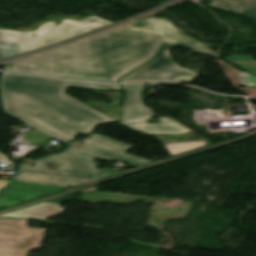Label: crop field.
Masks as SVG:
<instances>
[{"label": "crop field", "mask_w": 256, "mask_h": 256, "mask_svg": "<svg viewBox=\"0 0 256 256\" xmlns=\"http://www.w3.org/2000/svg\"><path fill=\"white\" fill-rule=\"evenodd\" d=\"M230 61H253L251 56L227 57ZM232 63V62H231ZM256 75V63H233Z\"/></svg>", "instance_id": "obj_12"}, {"label": "crop field", "mask_w": 256, "mask_h": 256, "mask_svg": "<svg viewBox=\"0 0 256 256\" xmlns=\"http://www.w3.org/2000/svg\"><path fill=\"white\" fill-rule=\"evenodd\" d=\"M64 19L62 23L51 20ZM40 24L37 31L18 32L0 30V59L67 40L74 36L112 24L96 16L84 20L56 17Z\"/></svg>", "instance_id": "obj_4"}, {"label": "crop field", "mask_w": 256, "mask_h": 256, "mask_svg": "<svg viewBox=\"0 0 256 256\" xmlns=\"http://www.w3.org/2000/svg\"><path fill=\"white\" fill-rule=\"evenodd\" d=\"M211 7H215V8H219V9H222V10H225V11H229V6L227 3H223V2H220V1H216L214 0L213 2L210 3Z\"/></svg>", "instance_id": "obj_15"}, {"label": "crop field", "mask_w": 256, "mask_h": 256, "mask_svg": "<svg viewBox=\"0 0 256 256\" xmlns=\"http://www.w3.org/2000/svg\"><path fill=\"white\" fill-rule=\"evenodd\" d=\"M184 34L164 19L152 30L124 25L12 63L17 73L117 83L119 77L152 59L161 43L216 55Z\"/></svg>", "instance_id": "obj_1"}, {"label": "crop field", "mask_w": 256, "mask_h": 256, "mask_svg": "<svg viewBox=\"0 0 256 256\" xmlns=\"http://www.w3.org/2000/svg\"><path fill=\"white\" fill-rule=\"evenodd\" d=\"M14 180L30 182V183H38L59 187L71 188L86 182L89 180H81V179H72V178H64V177H56V176H47V175H39V174H30V173H22L17 172Z\"/></svg>", "instance_id": "obj_9"}, {"label": "crop field", "mask_w": 256, "mask_h": 256, "mask_svg": "<svg viewBox=\"0 0 256 256\" xmlns=\"http://www.w3.org/2000/svg\"><path fill=\"white\" fill-rule=\"evenodd\" d=\"M122 86L127 93L122 109V125L144 134H184L191 131L172 118H160L161 124H147L155 113L145 105L142 98L146 85Z\"/></svg>", "instance_id": "obj_5"}, {"label": "crop field", "mask_w": 256, "mask_h": 256, "mask_svg": "<svg viewBox=\"0 0 256 256\" xmlns=\"http://www.w3.org/2000/svg\"><path fill=\"white\" fill-rule=\"evenodd\" d=\"M7 65V64H6ZM5 71H8L10 72V68H9V65L6 66V68L4 69Z\"/></svg>", "instance_id": "obj_18"}, {"label": "crop field", "mask_w": 256, "mask_h": 256, "mask_svg": "<svg viewBox=\"0 0 256 256\" xmlns=\"http://www.w3.org/2000/svg\"><path fill=\"white\" fill-rule=\"evenodd\" d=\"M67 86L121 90L120 85L86 83L3 73L0 93L5 114L65 143L78 132L114 119L64 94Z\"/></svg>", "instance_id": "obj_2"}, {"label": "crop field", "mask_w": 256, "mask_h": 256, "mask_svg": "<svg viewBox=\"0 0 256 256\" xmlns=\"http://www.w3.org/2000/svg\"><path fill=\"white\" fill-rule=\"evenodd\" d=\"M228 2L234 12L256 17V0H221Z\"/></svg>", "instance_id": "obj_10"}, {"label": "crop field", "mask_w": 256, "mask_h": 256, "mask_svg": "<svg viewBox=\"0 0 256 256\" xmlns=\"http://www.w3.org/2000/svg\"><path fill=\"white\" fill-rule=\"evenodd\" d=\"M18 203H22V202L0 198V209L8 207V206L15 205V204H18Z\"/></svg>", "instance_id": "obj_14"}, {"label": "crop field", "mask_w": 256, "mask_h": 256, "mask_svg": "<svg viewBox=\"0 0 256 256\" xmlns=\"http://www.w3.org/2000/svg\"><path fill=\"white\" fill-rule=\"evenodd\" d=\"M27 220L0 219V256H25L38 248L46 229L30 228Z\"/></svg>", "instance_id": "obj_6"}, {"label": "crop field", "mask_w": 256, "mask_h": 256, "mask_svg": "<svg viewBox=\"0 0 256 256\" xmlns=\"http://www.w3.org/2000/svg\"><path fill=\"white\" fill-rule=\"evenodd\" d=\"M169 46H162L155 60L120 79L126 82L177 83L192 81L193 73L176 63L167 53Z\"/></svg>", "instance_id": "obj_7"}, {"label": "crop field", "mask_w": 256, "mask_h": 256, "mask_svg": "<svg viewBox=\"0 0 256 256\" xmlns=\"http://www.w3.org/2000/svg\"><path fill=\"white\" fill-rule=\"evenodd\" d=\"M9 182H6V181H0V189L2 187H4L6 184H8Z\"/></svg>", "instance_id": "obj_17"}, {"label": "crop field", "mask_w": 256, "mask_h": 256, "mask_svg": "<svg viewBox=\"0 0 256 256\" xmlns=\"http://www.w3.org/2000/svg\"><path fill=\"white\" fill-rule=\"evenodd\" d=\"M60 205L61 204H57V203L43 202L37 205L29 206L21 210L3 214L0 216L38 218V219L45 220L60 212L65 211L63 207H60Z\"/></svg>", "instance_id": "obj_8"}, {"label": "crop field", "mask_w": 256, "mask_h": 256, "mask_svg": "<svg viewBox=\"0 0 256 256\" xmlns=\"http://www.w3.org/2000/svg\"><path fill=\"white\" fill-rule=\"evenodd\" d=\"M238 79H239V85L256 86V77L249 73H239Z\"/></svg>", "instance_id": "obj_13"}, {"label": "crop field", "mask_w": 256, "mask_h": 256, "mask_svg": "<svg viewBox=\"0 0 256 256\" xmlns=\"http://www.w3.org/2000/svg\"><path fill=\"white\" fill-rule=\"evenodd\" d=\"M204 141L185 142V143H174L165 145V148L171 156L206 145Z\"/></svg>", "instance_id": "obj_11"}, {"label": "crop field", "mask_w": 256, "mask_h": 256, "mask_svg": "<svg viewBox=\"0 0 256 256\" xmlns=\"http://www.w3.org/2000/svg\"><path fill=\"white\" fill-rule=\"evenodd\" d=\"M0 163L13 164V162L9 161L5 155L0 153Z\"/></svg>", "instance_id": "obj_16"}, {"label": "crop field", "mask_w": 256, "mask_h": 256, "mask_svg": "<svg viewBox=\"0 0 256 256\" xmlns=\"http://www.w3.org/2000/svg\"><path fill=\"white\" fill-rule=\"evenodd\" d=\"M80 143L85 145L81 149L68 146L63 153L35 160L37 167L20 165L18 170L96 179L111 173L97 170V163L92 161L93 158H99L109 162L117 159L135 167L152 162L125 153L132 146L125 145L95 133ZM119 151H123L124 154L118 153ZM45 164H50L58 168L54 173H49V171L45 169Z\"/></svg>", "instance_id": "obj_3"}]
</instances>
